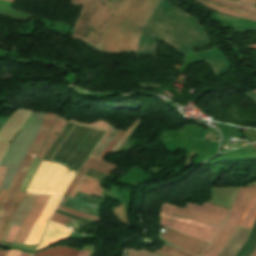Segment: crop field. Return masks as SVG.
<instances>
[{
  "mask_svg": "<svg viewBox=\"0 0 256 256\" xmlns=\"http://www.w3.org/2000/svg\"><path fill=\"white\" fill-rule=\"evenodd\" d=\"M161 217L176 220V221H181V222H185V223H189V224H193V225H198V226H202V227H206V228H210V229H213L216 231H218L220 228V226L208 224L205 222H201V221H197V220H193V219H189V218H185V217H181V216H177V215H173V214L163 213V212H161Z\"/></svg>",
  "mask_w": 256,
  "mask_h": 256,
  "instance_id": "18",
  "label": "crop field"
},
{
  "mask_svg": "<svg viewBox=\"0 0 256 256\" xmlns=\"http://www.w3.org/2000/svg\"><path fill=\"white\" fill-rule=\"evenodd\" d=\"M254 92H256V90H253Z\"/></svg>",
  "mask_w": 256,
  "mask_h": 256,
  "instance_id": "43",
  "label": "crop field"
},
{
  "mask_svg": "<svg viewBox=\"0 0 256 256\" xmlns=\"http://www.w3.org/2000/svg\"><path fill=\"white\" fill-rule=\"evenodd\" d=\"M49 196H44V195H39L32 210L30 213L27 215L23 225L21 226L18 234L16 235L14 242L21 243L23 244L32 225L36 221V219L39 217L41 214L45 203L47 201ZM60 200V197H54L50 196L47 204L38 218V220L35 222L33 225L26 241L24 244H36L39 242L43 232L44 228L46 225V220L50 217V215L53 213L56 205L58 204Z\"/></svg>",
  "mask_w": 256,
  "mask_h": 256,
  "instance_id": "3",
  "label": "crop field"
},
{
  "mask_svg": "<svg viewBox=\"0 0 256 256\" xmlns=\"http://www.w3.org/2000/svg\"><path fill=\"white\" fill-rule=\"evenodd\" d=\"M256 186H252V187H248L245 195L243 196L241 202H240V206L237 210V213L230 225V227L228 228V230L226 231V233L224 234V236L222 237V239L220 240V242L217 244V246L214 248V250L208 255V256H217L219 254V252L221 251V249L224 247V245L226 244V242L229 240V238L231 237L235 227L237 226L253 192Z\"/></svg>",
  "mask_w": 256,
  "mask_h": 256,
  "instance_id": "10",
  "label": "crop field"
},
{
  "mask_svg": "<svg viewBox=\"0 0 256 256\" xmlns=\"http://www.w3.org/2000/svg\"><path fill=\"white\" fill-rule=\"evenodd\" d=\"M9 1H12V2H13L14 0H9Z\"/></svg>",
  "mask_w": 256,
  "mask_h": 256,
  "instance_id": "42",
  "label": "crop field"
},
{
  "mask_svg": "<svg viewBox=\"0 0 256 256\" xmlns=\"http://www.w3.org/2000/svg\"><path fill=\"white\" fill-rule=\"evenodd\" d=\"M256 0H240V3L248 4V5H254Z\"/></svg>",
  "mask_w": 256,
  "mask_h": 256,
  "instance_id": "33",
  "label": "crop field"
},
{
  "mask_svg": "<svg viewBox=\"0 0 256 256\" xmlns=\"http://www.w3.org/2000/svg\"><path fill=\"white\" fill-rule=\"evenodd\" d=\"M155 253H158L164 256H191L181 250L171 248V247H166V246H163V248L160 249L159 251L156 250Z\"/></svg>",
  "mask_w": 256,
  "mask_h": 256,
  "instance_id": "22",
  "label": "crop field"
},
{
  "mask_svg": "<svg viewBox=\"0 0 256 256\" xmlns=\"http://www.w3.org/2000/svg\"><path fill=\"white\" fill-rule=\"evenodd\" d=\"M255 6H256V4H255Z\"/></svg>",
  "mask_w": 256,
  "mask_h": 256,
  "instance_id": "45",
  "label": "crop field"
},
{
  "mask_svg": "<svg viewBox=\"0 0 256 256\" xmlns=\"http://www.w3.org/2000/svg\"><path fill=\"white\" fill-rule=\"evenodd\" d=\"M89 252L81 251L79 256H88Z\"/></svg>",
  "mask_w": 256,
  "mask_h": 256,
  "instance_id": "38",
  "label": "crop field"
},
{
  "mask_svg": "<svg viewBox=\"0 0 256 256\" xmlns=\"http://www.w3.org/2000/svg\"><path fill=\"white\" fill-rule=\"evenodd\" d=\"M59 210H62V211H65L67 213H70V214H74L78 217H83V218H87V219H93V220H98L99 221V218L98 217H95V216H91V215H87V214H84V213H80V212H76V211H73V210H70L68 208H65V207H62V206H58Z\"/></svg>",
  "mask_w": 256,
  "mask_h": 256,
  "instance_id": "26",
  "label": "crop field"
},
{
  "mask_svg": "<svg viewBox=\"0 0 256 256\" xmlns=\"http://www.w3.org/2000/svg\"><path fill=\"white\" fill-rule=\"evenodd\" d=\"M77 191L90 194V195L95 194L103 198V196L101 195V192L104 190L101 188L98 181L83 177L78 187L76 188L75 192L73 193L72 198H74Z\"/></svg>",
  "mask_w": 256,
  "mask_h": 256,
  "instance_id": "14",
  "label": "crop field"
},
{
  "mask_svg": "<svg viewBox=\"0 0 256 256\" xmlns=\"http://www.w3.org/2000/svg\"><path fill=\"white\" fill-rule=\"evenodd\" d=\"M7 191H8V190L1 191V193H0V205H1V203H2V201H3V199H4V197H5V195H6V193H7Z\"/></svg>",
  "mask_w": 256,
  "mask_h": 256,
  "instance_id": "36",
  "label": "crop field"
},
{
  "mask_svg": "<svg viewBox=\"0 0 256 256\" xmlns=\"http://www.w3.org/2000/svg\"><path fill=\"white\" fill-rule=\"evenodd\" d=\"M197 2H199L200 4L206 6L210 9H214V10L220 11V12L225 13V14H229V15H232V16L242 17V18H246V19H249V20L256 21V15L252 14V13L220 7V6L205 2L203 0H197Z\"/></svg>",
  "mask_w": 256,
  "mask_h": 256,
  "instance_id": "15",
  "label": "crop field"
},
{
  "mask_svg": "<svg viewBox=\"0 0 256 256\" xmlns=\"http://www.w3.org/2000/svg\"><path fill=\"white\" fill-rule=\"evenodd\" d=\"M65 119H62L60 117H56L54 124L52 126V129L44 143V145L42 146L41 150L39 151L37 158L41 159V157L43 156V154L46 152V150L48 149V147L50 146V144L52 143V141L55 139V137L57 135H54L55 132H58L61 130V128L63 127V125L65 124Z\"/></svg>",
  "mask_w": 256,
  "mask_h": 256,
  "instance_id": "16",
  "label": "crop field"
},
{
  "mask_svg": "<svg viewBox=\"0 0 256 256\" xmlns=\"http://www.w3.org/2000/svg\"><path fill=\"white\" fill-rule=\"evenodd\" d=\"M20 226H12L6 241L12 242Z\"/></svg>",
  "mask_w": 256,
  "mask_h": 256,
  "instance_id": "30",
  "label": "crop field"
},
{
  "mask_svg": "<svg viewBox=\"0 0 256 256\" xmlns=\"http://www.w3.org/2000/svg\"><path fill=\"white\" fill-rule=\"evenodd\" d=\"M32 111L18 109L6 121L4 127L0 131V160L5 154L9 141L18 132V130L27 121Z\"/></svg>",
  "mask_w": 256,
  "mask_h": 256,
  "instance_id": "6",
  "label": "crop field"
},
{
  "mask_svg": "<svg viewBox=\"0 0 256 256\" xmlns=\"http://www.w3.org/2000/svg\"><path fill=\"white\" fill-rule=\"evenodd\" d=\"M141 119L138 117L135 119V121L130 125L129 129L125 133V135L122 137V139L119 141V143L116 145V147L112 150L111 153H115V151L118 149V147L122 144V142L126 139L128 134L132 131V129L140 122Z\"/></svg>",
  "mask_w": 256,
  "mask_h": 256,
  "instance_id": "27",
  "label": "crop field"
},
{
  "mask_svg": "<svg viewBox=\"0 0 256 256\" xmlns=\"http://www.w3.org/2000/svg\"><path fill=\"white\" fill-rule=\"evenodd\" d=\"M252 256H256V250L253 252Z\"/></svg>",
  "mask_w": 256,
  "mask_h": 256,
  "instance_id": "41",
  "label": "crop field"
},
{
  "mask_svg": "<svg viewBox=\"0 0 256 256\" xmlns=\"http://www.w3.org/2000/svg\"><path fill=\"white\" fill-rule=\"evenodd\" d=\"M70 232L71 231L67 230L62 226L50 223L37 250H40L50 244L66 238Z\"/></svg>",
  "mask_w": 256,
  "mask_h": 256,
  "instance_id": "13",
  "label": "crop field"
},
{
  "mask_svg": "<svg viewBox=\"0 0 256 256\" xmlns=\"http://www.w3.org/2000/svg\"><path fill=\"white\" fill-rule=\"evenodd\" d=\"M38 195L36 194H30L27 193L24 201L22 202V204L19 206V208L16 210L15 214L13 215L8 228L4 234L3 240H6V237L8 235L9 229L11 227V225H21L23 220L25 219L26 215L29 213V211L31 210L36 198Z\"/></svg>",
  "mask_w": 256,
  "mask_h": 256,
  "instance_id": "12",
  "label": "crop field"
},
{
  "mask_svg": "<svg viewBox=\"0 0 256 256\" xmlns=\"http://www.w3.org/2000/svg\"><path fill=\"white\" fill-rule=\"evenodd\" d=\"M67 172L68 170L60 165L42 161L27 190L41 194L63 195L75 175L71 171L67 175Z\"/></svg>",
  "mask_w": 256,
  "mask_h": 256,
  "instance_id": "4",
  "label": "crop field"
},
{
  "mask_svg": "<svg viewBox=\"0 0 256 256\" xmlns=\"http://www.w3.org/2000/svg\"><path fill=\"white\" fill-rule=\"evenodd\" d=\"M249 48L256 49V45L248 46Z\"/></svg>",
  "mask_w": 256,
  "mask_h": 256,
  "instance_id": "40",
  "label": "crop field"
},
{
  "mask_svg": "<svg viewBox=\"0 0 256 256\" xmlns=\"http://www.w3.org/2000/svg\"><path fill=\"white\" fill-rule=\"evenodd\" d=\"M161 225H164L172 230H175L177 232H180L184 235L196 238L198 240L204 241L209 243L210 240L213 238V236L216 234V231L198 227V226H193L181 222H172V221H167L161 219Z\"/></svg>",
  "mask_w": 256,
  "mask_h": 256,
  "instance_id": "8",
  "label": "crop field"
},
{
  "mask_svg": "<svg viewBox=\"0 0 256 256\" xmlns=\"http://www.w3.org/2000/svg\"><path fill=\"white\" fill-rule=\"evenodd\" d=\"M87 171V168L85 169V171L81 174V176L79 177V179L77 180V182L75 183V185L73 186L72 190L70 191V193L68 194V196L70 197V195L72 194L73 190L75 189V187L77 186L78 182L82 179L83 175L85 174V172Z\"/></svg>",
  "mask_w": 256,
  "mask_h": 256,
  "instance_id": "32",
  "label": "crop field"
},
{
  "mask_svg": "<svg viewBox=\"0 0 256 256\" xmlns=\"http://www.w3.org/2000/svg\"><path fill=\"white\" fill-rule=\"evenodd\" d=\"M229 225H223L220 231L217 233L213 241L210 243V245L204 250V252L200 256H207L211 250L214 248V246L218 243V241L221 239L225 231L227 230Z\"/></svg>",
  "mask_w": 256,
  "mask_h": 256,
  "instance_id": "23",
  "label": "crop field"
},
{
  "mask_svg": "<svg viewBox=\"0 0 256 256\" xmlns=\"http://www.w3.org/2000/svg\"><path fill=\"white\" fill-rule=\"evenodd\" d=\"M161 237L171 244L195 255H198L204 249V247L207 246L206 243L174 233L172 231L162 233Z\"/></svg>",
  "mask_w": 256,
  "mask_h": 256,
  "instance_id": "9",
  "label": "crop field"
},
{
  "mask_svg": "<svg viewBox=\"0 0 256 256\" xmlns=\"http://www.w3.org/2000/svg\"><path fill=\"white\" fill-rule=\"evenodd\" d=\"M244 95L256 104V93L251 91L249 93H245Z\"/></svg>",
  "mask_w": 256,
  "mask_h": 256,
  "instance_id": "31",
  "label": "crop field"
},
{
  "mask_svg": "<svg viewBox=\"0 0 256 256\" xmlns=\"http://www.w3.org/2000/svg\"><path fill=\"white\" fill-rule=\"evenodd\" d=\"M112 127L109 126V128L107 129L105 135L103 136V138L101 139V141L99 142V144L97 145V147L94 149V151L92 152L91 156L95 157L97 151L99 150V148L102 146V144L105 142V140L107 139V137L110 135L111 131H112Z\"/></svg>",
  "mask_w": 256,
  "mask_h": 256,
  "instance_id": "28",
  "label": "crop field"
},
{
  "mask_svg": "<svg viewBox=\"0 0 256 256\" xmlns=\"http://www.w3.org/2000/svg\"><path fill=\"white\" fill-rule=\"evenodd\" d=\"M46 113L43 112H33L26 124L23 126L22 130L17 134V136L14 138L12 143L10 144V147L1 163V166H8V170L6 172V175L3 179V182L1 184L0 190L8 189L9 185L11 183L12 178L15 175V172L25 155L27 149L29 148L30 144L34 140L38 129L40 127V124L44 118ZM56 116L51 115L49 113L46 114L45 119L40 127V130L38 132V135L36 136L35 140L31 144L30 148L28 149L25 157L23 158L16 175L14 177V180L9 188V191L7 193L6 198L4 199L1 207H0V225L1 222L9 209V207L12 205L16 194L18 192V189L22 183V180L39 149L43 145L50 129L53 124V121Z\"/></svg>",
  "mask_w": 256,
  "mask_h": 256,
  "instance_id": "2",
  "label": "crop field"
},
{
  "mask_svg": "<svg viewBox=\"0 0 256 256\" xmlns=\"http://www.w3.org/2000/svg\"><path fill=\"white\" fill-rule=\"evenodd\" d=\"M187 209H180L168 204H163L161 211L177 213L193 219L221 225L229 210L205 203L202 207L187 203Z\"/></svg>",
  "mask_w": 256,
  "mask_h": 256,
  "instance_id": "5",
  "label": "crop field"
},
{
  "mask_svg": "<svg viewBox=\"0 0 256 256\" xmlns=\"http://www.w3.org/2000/svg\"><path fill=\"white\" fill-rule=\"evenodd\" d=\"M245 190H246V187H241L239 189V191L237 193V196H236V199H235V202H234V205H233V208L230 211V213H229V215H228V217H227V219L225 221L226 224H230V222H231V220H232V218H233V216H234V214H235V212H236V210L238 208L239 202H240V200H241Z\"/></svg>",
  "mask_w": 256,
  "mask_h": 256,
  "instance_id": "24",
  "label": "crop field"
},
{
  "mask_svg": "<svg viewBox=\"0 0 256 256\" xmlns=\"http://www.w3.org/2000/svg\"><path fill=\"white\" fill-rule=\"evenodd\" d=\"M196 54L213 67L217 77L224 74L227 67L231 65L225 60L217 47Z\"/></svg>",
  "mask_w": 256,
  "mask_h": 256,
  "instance_id": "11",
  "label": "crop field"
},
{
  "mask_svg": "<svg viewBox=\"0 0 256 256\" xmlns=\"http://www.w3.org/2000/svg\"><path fill=\"white\" fill-rule=\"evenodd\" d=\"M5 170H6V168L0 167V184H1V181H2V179H3Z\"/></svg>",
  "mask_w": 256,
  "mask_h": 256,
  "instance_id": "35",
  "label": "crop field"
},
{
  "mask_svg": "<svg viewBox=\"0 0 256 256\" xmlns=\"http://www.w3.org/2000/svg\"><path fill=\"white\" fill-rule=\"evenodd\" d=\"M122 0H72L83 5L75 26L74 39L101 49L105 31ZM160 0H123L105 34L101 51L113 54L137 51L141 33ZM155 37L186 55L194 46L209 41L193 17L161 0L151 16L139 43L138 54L153 55Z\"/></svg>",
  "mask_w": 256,
  "mask_h": 256,
  "instance_id": "1",
  "label": "crop field"
},
{
  "mask_svg": "<svg viewBox=\"0 0 256 256\" xmlns=\"http://www.w3.org/2000/svg\"><path fill=\"white\" fill-rule=\"evenodd\" d=\"M236 1H239V0H236Z\"/></svg>",
  "mask_w": 256,
  "mask_h": 256,
  "instance_id": "44",
  "label": "crop field"
},
{
  "mask_svg": "<svg viewBox=\"0 0 256 256\" xmlns=\"http://www.w3.org/2000/svg\"><path fill=\"white\" fill-rule=\"evenodd\" d=\"M124 134V132L122 131H117V133L115 134V136L113 137V139L110 141V143L107 145V147L102 151V153L99 155V157L97 159L95 158H91L89 157V159L87 160V162L84 164V166L82 167V169L79 171V173L75 176V178L73 179V181L71 182L69 188L67 189L65 196H67V194L69 193L70 189L72 188V186L74 185V183L76 182V180L78 179V177L80 176V174L83 172V170L88 167L90 169L99 171L101 173L107 174L112 171L116 166L111 164V163H106L103 160L104 155H106L107 153H109V151L117 144V142L119 141V139L122 137V135ZM111 152V151H110Z\"/></svg>",
  "mask_w": 256,
  "mask_h": 256,
  "instance_id": "7",
  "label": "crop field"
},
{
  "mask_svg": "<svg viewBox=\"0 0 256 256\" xmlns=\"http://www.w3.org/2000/svg\"><path fill=\"white\" fill-rule=\"evenodd\" d=\"M20 256H30V254H26V253H21Z\"/></svg>",
  "mask_w": 256,
  "mask_h": 256,
  "instance_id": "39",
  "label": "crop field"
},
{
  "mask_svg": "<svg viewBox=\"0 0 256 256\" xmlns=\"http://www.w3.org/2000/svg\"><path fill=\"white\" fill-rule=\"evenodd\" d=\"M50 221H54V222H58L60 224L66 225V223L69 221V218L54 213Z\"/></svg>",
  "mask_w": 256,
  "mask_h": 256,
  "instance_id": "29",
  "label": "crop field"
},
{
  "mask_svg": "<svg viewBox=\"0 0 256 256\" xmlns=\"http://www.w3.org/2000/svg\"><path fill=\"white\" fill-rule=\"evenodd\" d=\"M71 249L68 248H53L49 250H45L39 254H36L34 256H77L79 251H70Z\"/></svg>",
  "mask_w": 256,
  "mask_h": 256,
  "instance_id": "20",
  "label": "crop field"
},
{
  "mask_svg": "<svg viewBox=\"0 0 256 256\" xmlns=\"http://www.w3.org/2000/svg\"><path fill=\"white\" fill-rule=\"evenodd\" d=\"M26 195V192H18V195L13 203V205L11 206L5 220L3 221L1 227H0V240L3 236V233L9 223V220L11 218V216L13 215V213L15 212V210L17 209V207L19 206V204L21 203V201L23 200L24 196Z\"/></svg>",
  "mask_w": 256,
  "mask_h": 256,
  "instance_id": "19",
  "label": "crop field"
},
{
  "mask_svg": "<svg viewBox=\"0 0 256 256\" xmlns=\"http://www.w3.org/2000/svg\"><path fill=\"white\" fill-rule=\"evenodd\" d=\"M255 200H256V189H255V192H254V194H253V196H252V198H251V200H250V202H249V204H248V206H247V208H246V210H245V212L243 214V217H242V219H241V221H240L238 226H242V227L245 226V224L247 222V219H248V217L250 215V212H251V210L253 208V205L255 203ZM255 217H256V203L254 205V208H253V210L251 212V215H250V217L248 219V222H247L245 227L251 228L252 225H253V222L255 220Z\"/></svg>",
  "mask_w": 256,
  "mask_h": 256,
  "instance_id": "17",
  "label": "crop field"
},
{
  "mask_svg": "<svg viewBox=\"0 0 256 256\" xmlns=\"http://www.w3.org/2000/svg\"><path fill=\"white\" fill-rule=\"evenodd\" d=\"M115 215L118 217V219L124 223L125 225L128 226V221H127V215L124 210L123 204H121L119 207L113 208ZM129 227V226H128Z\"/></svg>",
  "mask_w": 256,
  "mask_h": 256,
  "instance_id": "25",
  "label": "crop field"
},
{
  "mask_svg": "<svg viewBox=\"0 0 256 256\" xmlns=\"http://www.w3.org/2000/svg\"><path fill=\"white\" fill-rule=\"evenodd\" d=\"M9 251L0 249V256H7Z\"/></svg>",
  "mask_w": 256,
  "mask_h": 256,
  "instance_id": "37",
  "label": "crop field"
},
{
  "mask_svg": "<svg viewBox=\"0 0 256 256\" xmlns=\"http://www.w3.org/2000/svg\"><path fill=\"white\" fill-rule=\"evenodd\" d=\"M210 1L218 3V4H222V5L242 9V10L249 11V12H252V13L256 14V8L252 7V6H248V5H244V4H240V3H235V2H232V1H229V0H210Z\"/></svg>",
  "mask_w": 256,
  "mask_h": 256,
  "instance_id": "21",
  "label": "crop field"
},
{
  "mask_svg": "<svg viewBox=\"0 0 256 256\" xmlns=\"http://www.w3.org/2000/svg\"><path fill=\"white\" fill-rule=\"evenodd\" d=\"M21 252L10 250L8 256H19Z\"/></svg>",
  "mask_w": 256,
  "mask_h": 256,
  "instance_id": "34",
  "label": "crop field"
}]
</instances>
